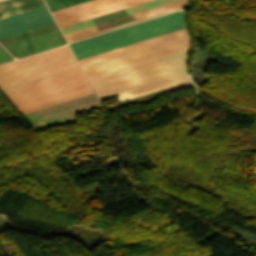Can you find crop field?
<instances>
[{
  "label": "crop field",
  "mask_w": 256,
  "mask_h": 256,
  "mask_svg": "<svg viewBox=\"0 0 256 256\" xmlns=\"http://www.w3.org/2000/svg\"><path fill=\"white\" fill-rule=\"evenodd\" d=\"M78 66L68 45L0 65V89ZM80 66L2 89L13 104L86 83Z\"/></svg>",
  "instance_id": "8a807250"
},
{
  "label": "crop field",
  "mask_w": 256,
  "mask_h": 256,
  "mask_svg": "<svg viewBox=\"0 0 256 256\" xmlns=\"http://www.w3.org/2000/svg\"><path fill=\"white\" fill-rule=\"evenodd\" d=\"M190 46L88 77L99 101L125 100L189 81L186 59Z\"/></svg>",
  "instance_id": "ac0d7876"
},
{
  "label": "crop field",
  "mask_w": 256,
  "mask_h": 256,
  "mask_svg": "<svg viewBox=\"0 0 256 256\" xmlns=\"http://www.w3.org/2000/svg\"><path fill=\"white\" fill-rule=\"evenodd\" d=\"M185 27L184 14L175 11L69 45L79 60Z\"/></svg>",
  "instance_id": "34b2d1b8"
},
{
  "label": "crop field",
  "mask_w": 256,
  "mask_h": 256,
  "mask_svg": "<svg viewBox=\"0 0 256 256\" xmlns=\"http://www.w3.org/2000/svg\"><path fill=\"white\" fill-rule=\"evenodd\" d=\"M190 45L187 29L79 60L86 77Z\"/></svg>",
  "instance_id": "412701ff"
},
{
  "label": "crop field",
  "mask_w": 256,
  "mask_h": 256,
  "mask_svg": "<svg viewBox=\"0 0 256 256\" xmlns=\"http://www.w3.org/2000/svg\"><path fill=\"white\" fill-rule=\"evenodd\" d=\"M0 43L14 56L21 57L61 44L65 40L56 23L0 39Z\"/></svg>",
  "instance_id": "f4fd0767"
},
{
  "label": "crop field",
  "mask_w": 256,
  "mask_h": 256,
  "mask_svg": "<svg viewBox=\"0 0 256 256\" xmlns=\"http://www.w3.org/2000/svg\"><path fill=\"white\" fill-rule=\"evenodd\" d=\"M95 93L24 114L35 129L75 119L77 113L100 108Z\"/></svg>",
  "instance_id": "dd49c442"
},
{
  "label": "crop field",
  "mask_w": 256,
  "mask_h": 256,
  "mask_svg": "<svg viewBox=\"0 0 256 256\" xmlns=\"http://www.w3.org/2000/svg\"><path fill=\"white\" fill-rule=\"evenodd\" d=\"M148 0H91L52 12L59 28L123 9Z\"/></svg>",
  "instance_id": "e52e79f7"
},
{
  "label": "crop field",
  "mask_w": 256,
  "mask_h": 256,
  "mask_svg": "<svg viewBox=\"0 0 256 256\" xmlns=\"http://www.w3.org/2000/svg\"><path fill=\"white\" fill-rule=\"evenodd\" d=\"M46 7V5H44ZM43 7V6H41ZM40 8V7H38ZM36 9V8H34ZM47 9V7H46ZM33 10V9H31ZM30 11V10H28ZM48 11V9H47ZM26 12V11H25ZM23 13V12H22ZM49 13V11H48ZM20 14V13H18ZM17 15V14H15ZM53 23L54 20L49 13ZM13 16V15H12ZM10 17V16H9ZM7 18V17H6ZM4 19V18H2ZM51 23V20L45 10V8L36 9L30 12H26L17 16H13L4 20H0V38L8 36L14 33H18L24 30H28L34 27H38L44 24Z\"/></svg>",
  "instance_id": "d8731c3e"
},
{
  "label": "crop field",
  "mask_w": 256,
  "mask_h": 256,
  "mask_svg": "<svg viewBox=\"0 0 256 256\" xmlns=\"http://www.w3.org/2000/svg\"><path fill=\"white\" fill-rule=\"evenodd\" d=\"M187 6H189L188 0H179V1H176V2H173V3H170V4H166V5L154 8V9H150V10H147V11H144V12H141V13L134 14L135 18L137 19L135 21H131V22L124 23V24H121V25L113 26V27L106 28V29L99 30V31H97L95 26H94V27H91V28H88V29H84V30L72 33V34L65 35V38H66L67 42L74 41V40H77V39H80V38H84V37H87V36H90V35H94V34H97V33H100V32H104V31H107V30H110V29H114V28H117V27H120V26H124V25L130 24V23H134V22H137V21H140V20H144V19H147V18H150V17H154V16H157V15L164 14V13L174 11V10H177V9H180V8H184V7H187Z\"/></svg>",
  "instance_id": "5a996713"
},
{
  "label": "crop field",
  "mask_w": 256,
  "mask_h": 256,
  "mask_svg": "<svg viewBox=\"0 0 256 256\" xmlns=\"http://www.w3.org/2000/svg\"><path fill=\"white\" fill-rule=\"evenodd\" d=\"M88 93H92L91 88L89 87L88 83L87 84H83L77 87H73L64 91H60L45 97H41L29 102H25L22 104H19V106L25 111H31L37 108H41L44 106H48L54 103H58L61 101H65L71 98H75L78 96H82ZM15 106L18 108V110L24 114L25 112L17 105L15 104Z\"/></svg>",
  "instance_id": "3316defc"
},
{
  "label": "crop field",
  "mask_w": 256,
  "mask_h": 256,
  "mask_svg": "<svg viewBox=\"0 0 256 256\" xmlns=\"http://www.w3.org/2000/svg\"><path fill=\"white\" fill-rule=\"evenodd\" d=\"M173 1H176V0H152L149 2H145V3L139 4V5L133 6V7L126 8V11H127L128 15H130L133 13H137V12L147 10V9H150V8H153L156 6H160V5H163V4H166L169 2H173ZM93 25H94V23H93L92 19H90V20H87V21H84L81 23H77V24H74V25H71L68 27L61 28V31H62L63 35H65V34H68V33H71V32L77 31V30H81V29H84V28H87V27H90Z\"/></svg>",
  "instance_id": "28ad6ade"
},
{
  "label": "crop field",
  "mask_w": 256,
  "mask_h": 256,
  "mask_svg": "<svg viewBox=\"0 0 256 256\" xmlns=\"http://www.w3.org/2000/svg\"><path fill=\"white\" fill-rule=\"evenodd\" d=\"M43 0H5L0 2V18L44 5Z\"/></svg>",
  "instance_id": "d1516ede"
},
{
  "label": "crop field",
  "mask_w": 256,
  "mask_h": 256,
  "mask_svg": "<svg viewBox=\"0 0 256 256\" xmlns=\"http://www.w3.org/2000/svg\"><path fill=\"white\" fill-rule=\"evenodd\" d=\"M50 11L59 10L88 0H45Z\"/></svg>",
  "instance_id": "22f410ed"
},
{
  "label": "crop field",
  "mask_w": 256,
  "mask_h": 256,
  "mask_svg": "<svg viewBox=\"0 0 256 256\" xmlns=\"http://www.w3.org/2000/svg\"><path fill=\"white\" fill-rule=\"evenodd\" d=\"M13 58L0 46V63L12 60Z\"/></svg>",
  "instance_id": "cbeb9de0"
}]
</instances>
